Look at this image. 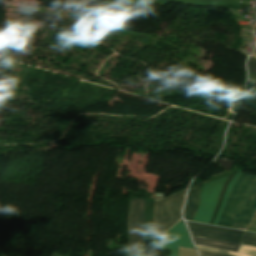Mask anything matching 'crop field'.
<instances>
[{
    "mask_svg": "<svg viewBox=\"0 0 256 256\" xmlns=\"http://www.w3.org/2000/svg\"><path fill=\"white\" fill-rule=\"evenodd\" d=\"M254 55H256V54L254 53ZM254 55H252V56L256 58V56H254ZM248 68L250 70H252L254 73H256V62L249 59Z\"/></svg>",
    "mask_w": 256,
    "mask_h": 256,
    "instance_id": "obj_13",
    "label": "crop field"
},
{
    "mask_svg": "<svg viewBox=\"0 0 256 256\" xmlns=\"http://www.w3.org/2000/svg\"><path fill=\"white\" fill-rule=\"evenodd\" d=\"M201 182L193 181L189 187L188 199L186 201L184 218L192 220L199 204Z\"/></svg>",
    "mask_w": 256,
    "mask_h": 256,
    "instance_id": "obj_7",
    "label": "crop field"
},
{
    "mask_svg": "<svg viewBox=\"0 0 256 256\" xmlns=\"http://www.w3.org/2000/svg\"><path fill=\"white\" fill-rule=\"evenodd\" d=\"M153 245L163 250H172L169 256H178V246L194 249L183 221H179L168 232L154 238Z\"/></svg>",
    "mask_w": 256,
    "mask_h": 256,
    "instance_id": "obj_5",
    "label": "crop field"
},
{
    "mask_svg": "<svg viewBox=\"0 0 256 256\" xmlns=\"http://www.w3.org/2000/svg\"><path fill=\"white\" fill-rule=\"evenodd\" d=\"M195 244L200 245H207V246H213L218 248H223L231 251H237L238 245L236 243H229V242H221V241H214V240H208V239H201V238H193Z\"/></svg>",
    "mask_w": 256,
    "mask_h": 256,
    "instance_id": "obj_9",
    "label": "crop field"
},
{
    "mask_svg": "<svg viewBox=\"0 0 256 256\" xmlns=\"http://www.w3.org/2000/svg\"><path fill=\"white\" fill-rule=\"evenodd\" d=\"M240 243L256 246V233L245 231Z\"/></svg>",
    "mask_w": 256,
    "mask_h": 256,
    "instance_id": "obj_11",
    "label": "crop field"
},
{
    "mask_svg": "<svg viewBox=\"0 0 256 256\" xmlns=\"http://www.w3.org/2000/svg\"><path fill=\"white\" fill-rule=\"evenodd\" d=\"M184 192L155 201L154 237L169 229L180 219V207L183 203Z\"/></svg>",
    "mask_w": 256,
    "mask_h": 256,
    "instance_id": "obj_2",
    "label": "crop field"
},
{
    "mask_svg": "<svg viewBox=\"0 0 256 256\" xmlns=\"http://www.w3.org/2000/svg\"><path fill=\"white\" fill-rule=\"evenodd\" d=\"M57 253H52V256H56Z\"/></svg>",
    "mask_w": 256,
    "mask_h": 256,
    "instance_id": "obj_15",
    "label": "crop field"
},
{
    "mask_svg": "<svg viewBox=\"0 0 256 256\" xmlns=\"http://www.w3.org/2000/svg\"><path fill=\"white\" fill-rule=\"evenodd\" d=\"M186 223L193 237H201L239 243L244 232L241 230L218 228L200 223Z\"/></svg>",
    "mask_w": 256,
    "mask_h": 256,
    "instance_id": "obj_6",
    "label": "crop field"
},
{
    "mask_svg": "<svg viewBox=\"0 0 256 256\" xmlns=\"http://www.w3.org/2000/svg\"><path fill=\"white\" fill-rule=\"evenodd\" d=\"M196 246L198 249L214 251V252H218V253H222L230 256H256V247L242 245V244L239 245V249L237 253L223 250V249L213 248V247L199 246V245H196Z\"/></svg>",
    "mask_w": 256,
    "mask_h": 256,
    "instance_id": "obj_8",
    "label": "crop field"
},
{
    "mask_svg": "<svg viewBox=\"0 0 256 256\" xmlns=\"http://www.w3.org/2000/svg\"><path fill=\"white\" fill-rule=\"evenodd\" d=\"M4 256H7V255H4Z\"/></svg>",
    "mask_w": 256,
    "mask_h": 256,
    "instance_id": "obj_16",
    "label": "crop field"
},
{
    "mask_svg": "<svg viewBox=\"0 0 256 256\" xmlns=\"http://www.w3.org/2000/svg\"><path fill=\"white\" fill-rule=\"evenodd\" d=\"M241 173H242V170H239V172L233 177V179H232L231 182L229 183L228 188H227L226 193H225V196H224V198H223L222 204H221V206H220V209H219V211H218V214H217V216H216L215 221H214L213 224H215V225L217 224L218 219H219V217H220V215H221V212H222V210H223V207H224V205H225L226 199H227V197H228V194H229V192H230V190H231L233 184L235 183V181L237 180V178L240 176Z\"/></svg>",
    "mask_w": 256,
    "mask_h": 256,
    "instance_id": "obj_10",
    "label": "crop field"
},
{
    "mask_svg": "<svg viewBox=\"0 0 256 256\" xmlns=\"http://www.w3.org/2000/svg\"><path fill=\"white\" fill-rule=\"evenodd\" d=\"M145 199L132 198L130 203L129 227V256L144 243Z\"/></svg>",
    "mask_w": 256,
    "mask_h": 256,
    "instance_id": "obj_3",
    "label": "crop field"
},
{
    "mask_svg": "<svg viewBox=\"0 0 256 256\" xmlns=\"http://www.w3.org/2000/svg\"><path fill=\"white\" fill-rule=\"evenodd\" d=\"M227 177L204 183L201 189V200L193 219L194 222L209 223L214 207L217 203L218 195L222 184Z\"/></svg>",
    "mask_w": 256,
    "mask_h": 256,
    "instance_id": "obj_4",
    "label": "crop field"
},
{
    "mask_svg": "<svg viewBox=\"0 0 256 256\" xmlns=\"http://www.w3.org/2000/svg\"><path fill=\"white\" fill-rule=\"evenodd\" d=\"M1 256H3V248H1Z\"/></svg>",
    "mask_w": 256,
    "mask_h": 256,
    "instance_id": "obj_14",
    "label": "crop field"
},
{
    "mask_svg": "<svg viewBox=\"0 0 256 256\" xmlns=\"http://www.w3.org/2000/svg\"><path fill=\"white\" fill-rule=\"evenodd\" d=\"M256 210V176L242 173L235 183L217 225L244 230Z\"/></svg>",
    "mask_w": 256,
    "mask_h": 256,
    "instance_id": "obj_1",
    "label": "crop field"
},
{
    "mask_svg": "<svg viewBox=\"0 0 256 256\" xmlns=\"http://www.w3.org/2000/svg\"><path fill=\"white\" fill-rule=\"evenodd\" d=\"M198 251L200 256H226V255L216 254V253L202 251V250H198Z\"/></svg>",
    "mask_w": 256,
    "mask_h": 256,
    "instance_id": "obj_12",
    "label": "crop field"
}]
</instances>
